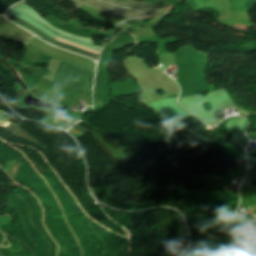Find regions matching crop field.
Returning a JSON list of instances; mask_svg holds the SVG:
<instances>
[{"mask_svg": "<svg viewBox=\"0 0 256 256\" xmlns=\"http://www.w3.org/2000/svg\"><path fill=\"white\" fill-rule=\"evenodd\" d=\"M12 16H13V15H12ZM13 17H15V16H13ZM13 17L9 16V17H7V18H8L9 20L15 22L16 24H18V25L24 27L25 29H27V30L30 31L31 33L35 34L36 36L42 38L44 41H47V42H49V43H51V44H53V45H56V46H59V47L68 49V50H70V51L76 52V53H78V54H81V55H84V56L93 58V59H95V60H97V57H95V56H93V55L99 56V55H98V54H99L98 51L91 50V49H88V48H85V47H81V46H78V45H75V44H72V43H69V42H66V41H63V40H60V39L56 38L55 40H57V41H61V42H64V43H67V44H70V45H73V46H76V47H79V48H82V49H85V50H89V51H92V52H95V53H98V54H95V53H92V52H89V51H85V50H82V49H79V48H76V47H73V46H70V45L61 43V42H57V41L53 40L52 38H50L49 36H47L46 34L40 32L39 30L35 29L34 27L30 26L29 24L25 23L24 21L20 20L19 18L15 17V18L19 19L20 21H22L23 23H25L26 25H28L29 27H31V28H33L34 30H36L37 32H39L40 34H42L43 36H45L46 38L52 40V41H55V42H57V43H59V44L66 45V46H69V47H72V48H75V49H78V50H81V51H84V52H87V53H90V54H93V55H90V54H87V53H84V52H81V51H78V50H75V49H72V48H69V47H65V46L56 44V43H54V42H52V41L46 39L45 37H43L42 35H40V34L37 33L36 31H34L33 29L29 28L28 26H26L25 24H23L22 22H20L19 20L15 19V18H13Z\"/></svg>", "mask_w": 256, "mask_h": 256, "instance_id": "1", "label": "crop field"}, {"mask_svg": "<svg viewBox=\"0 0 256 256\" xmlns=\"http://www.w3.org/2000/svg\"><path fill=\"white\" fill-rule=\"evenodd\" d=\"M161 20H156L152 23H146V22H140V21H135L131 20L128 22L129 24H132L134 26H143V27H155Z\"/></svg>", "mask_w": 256, "mask_h": 256, "instance_id": "2", "label": "crop field"}]
</instances>
